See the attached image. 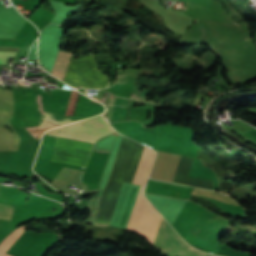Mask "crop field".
<instances>
[{"label": "crop field", "instance_id": "d8731c3e", "mask_svg": "<svg viewBox=\"0 0 256 256\" xmlns=\"http://www.w3.org/2000/svg\"><path fill=\"white\" fill-rule=\"evenodd\" d=\"M79 95H80V93L76 92V96H75L73 107H72L71 114H70L72 116L74 115V112L76 110L78 99H79Z\"/></svg>", "mask_w": 256, "mask_h": 256}, {"label": "crop field", "instance_id": "ac0d7876", "mask_svg": "<svg viewBox=\"0 0 256 256\" xmlns=\"http://www.w3.org/2000/svg\"><path fill=\"white\" fill-rule=\"evenodd\" d=\"M143 187L141 186L140 188L133 213L126 229L142 235L149 244L153 245L161 216L142 195Z\"/></svg>", "mask_w": 256, "mask_h": 256}, {"label": "crop field", "instance_id": "8a807250", "mask_svg": "<svg viewBox=\"0 0 256 256\" xmlns=\"http://www.w3.org/2000/svg\"><path fill=\"white\" fill-rule=\"evenodd\" d=\"M72 57L69 52L59 51L51 74L64 81ZM108 80L109 78L99 71L93 55L89 54L77 59L73 57L65 82L75 88H103Z\"/></svg>", "mask_w": 256, "mask_h": 256}, {"label": "crop field", "instance_id": "5a996713", "mask_svg": "<svg viewBox=\"0 0 256 256\" xmlns=\"http://www.w3.org/2000/svg\"><path fill=\"white\" fill-rule=\"evenodd\" d=\"M0 50H4V51H17L18 48H7V47H0ZM19 51V50H18Z\"/></svg>", "mask_w": 256, "mask_h": 256}, {"label": "crop field", "instance_id": "412701ff", "mask_svg": "<svg viewBox=\"0 0 256 256\" xmlns=\"http://www.w3.org/2000/svg\"><path fill=\"white\" fill-rule=\"evenodd\" d=\"M153 247L160 252L172 255L213 256L201 253L189 247L177 236L163 218L161 219Z\"/></svg>", "mask_w": 256, "mask_h": 256}, {"label": "crop field", "instance_id": "f4fd0767", "mask_svg": "<svg viewBox=\"0 0 256 256\" xmlns=\"http://www.w3.org/2000/svg\"><path fill=\"white\" fill-rule=\"evenodd\" d=\"M154 155H155L154 151L146 147L144 148L143 154L141 156V159L132 183L142 184V185L146 184Z\"/></svg>", "mask_w": 256, "mask_h": 256}, {"label": "crop field", "instance_id": "34b2d1b8", "mask_svg": "<svg viewBox=\"0 0 256 256\" xmlns=\"http://www.w3.org/2000/svg\"><path fill=\"white\" fill-rule=\"evenodd\" d=\"M113 130L108 122L102 116L98 115L88 120L60 127L46 134L94 143L97 138Z\"/></svg>", "mask_w": 256, "mask_h": 256}, {"label": "crop field", "instance_id": "e52e79f7", "mask_svg": "<svg viewBox=\"0 0 256 256\" xmlns=\"http://www.w3.org/2000/svg\"><path fill=\"white\" fill-rule=\"evenodd\" d=\"M13 212V206L0 204V218L10 220Z\"/></svg>", "mask_w": 256, "mask_h": 256}, {"label": "crop field", "instance_id": "dd49c442", "mask_svg": "<svg viewBox=\"0 0 256 256\" xmlns=\"http://www.w3.org/2000/svg\"><path fill=\"white\" fill-rule=\"evenodd\" d=\"M193 191L207 194V195L221 199L223 202H225L229 206V211H230L231 217L245 219L243 207L240 206L239 204H237L232 199H230L228 196H226L224 194L216 193L213 191L196 189V188H194Z\"/></svg>", "mask_w": 256, "mask_h": 256}]
</instances>
